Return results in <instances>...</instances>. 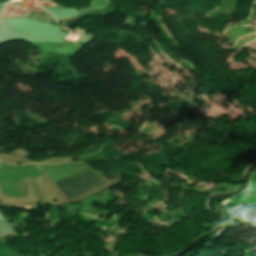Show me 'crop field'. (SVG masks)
Listing matches in <instances>:
<instances>
[{
    "mask_svg": "<svg viewBox=\"0 0 256 256\" xmlns=\"http://www.w3.org/2000/svg\"><path fill=\"white\" fill-rule=\"evenodd\" d=\"M102 184L104 182L101 177L90 170L56 182V185L69 200Z\"/></svg>",
    "mask_w": 256,
    "mask_h": 256,
    "instance_id": "1",
    "label": "crop field"
},
{
    "mask_svg": "<svg viewBox=\"0 0 256 256\" xmlns=\"http://www.w3.org/2000/svg\"><path fill=\"white\" fill-rule=\"evenodd\" d=\"M7 1H9V0H0V3H5Z\"/></svg>",
    "mask_w": 256,
    "mask_h": 256,
    "instance_id": "2",
    "label": "crop field"
}]
</instances>
